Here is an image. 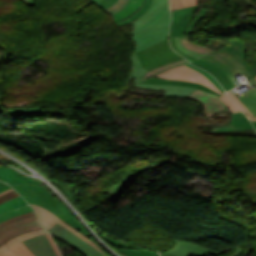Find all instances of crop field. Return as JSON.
<instances>
[{"mask_svg":"<svg viewBox=\"0 0 256 256\" xmlns=\"http://www.w3.org/2000/svg\"><path fill=\"white\" fill-rule=\"evenodd\" d=\"M246 49V43L234 37L230 43L222 47L221 50L201 59L223 71L233 83L234 87H236L240 84L237 82L234 74L244 72L249 79L256 76L255 71L253 72L245 60Z\"/></svg>","mask_w":256,"mask_h":256,"instance_id":"1","label":"crop field"},{"mask_svg":"<svg viewBox=\"0 0 256 256\" xmlns=\"http://www.w3.org/2000/svg\"><path fill=\"white\" fill-rule=\"evenodd\" d=\"M34 210L29 206L0 215V246L9 239L41 229Z\"/></svg>","mask_w":256,"mask_h":256,"instance_id":"2","label":"crop field"},{"mask_svg":"<svg viewBox=\"0 0 256 256\" xmlns=\"http://www.w3.org/2000/svg\"><path fill=\"white\" fill-rule=\"evenodd\" d=\"M26 201L40 205L55 213L61 220L72 215L70 211L58 200L50 197L45 187L37 185H12Z\"/></svg>","mask_w":256,"mask_h":256,"instance_id":"3","label":"crop field"},{"mask_svg":"<svg viewBox=\"0 0 256 256\" xmlns=\"http://www.w3.org/2000/svg\"><path fill=\"white\" fill-rule=\"evenodd\" d=\"M137 55L141 60L142 68H146L147 71L173 61L184 59L172 50L168 39L138 52Z\"/></svg>","mask_w":256,"mask_h":256,"instance_id":"4","label":"crop field"},{"mask_svg":"<svg viewBox=\"0 0 256 256\" xmlns=\"http://www.w3.org/2000/svg\"><path fill=\"white\" fill-rule=\"evenodd\" d=\"M170 25V13L146 29L134 35L137 43L136 52L155 44L168 37Z\"/></svg>","mask_w":256,"mask_h":256,"instance_id":"5","label":"crop field"},{"mask_svg":"<svg viewBox=\"0 0 256 256\" xmlns=\"http://www.w3.org/2000/svg\"><path fill=\"white\" fill-rule=\"evenodd\" d=\"M53 236L57 237L58 239L62 240L63 242L67 243L77 251H79L84 256H103L93 247L82 241L80 238L66 230L65 228L61 227L60 225H55L51 229L47 230Z\"/></svg>","mask_w":256,"mask_h":256,"instance_id":"6","label":"crop field"},{"mask_svg":"<svg viewBox=\"0 0 256 256\" xmlns=\"http://www.w3.org/2000/svg\"><path fill=\"white\" fill-rule=\"evenodd\" d=\"M157 76L167 77V79H178L185 80L189 82H196L205 85L206 87L214 90L219 94H223L213 83H211L205 76L202 74L186 67L185 65L173 68L164 73H161Z\"/></svg>","mask_w":256,"mask_h":256,"instance_id":"7","label":"crop field"},{"mask_svg":"<svg viewBox=\"0 0 256 256\" xmlns=\"http://www.w3.org/2000/svg\"><path fill=\"white\" fill-rule=\"evenodd\" d=\"M33 209L36 211L39 221L41 223V225L47 230L49 228H51L52 226H54L55 224H60L63 227H65L66 229H68L69 231H71L72 233H74L75 235H77L78 237H80L81 239H83L85 242H87L88 244H90L91 246H93L95 249H97L99 252H101L103 255L108 256L105 252H103L94 242H92L89 238L83 236L81 233H79L78 231H76L75 229H73L72 227H70L69 225H67L65 222L61 221L56 215L50 213L49 211H47L46 209L39 207L37 205H34L32 203H29Z\"/></svg>","mask_w":256,"mask_h":256,"instance_id":"8","label":"crop field"},{"mask_svg":"<svg viewBox=\"0 0 256 256\" xmlns=\"http://www.w3.org/2000/svg\"><path fill=\"white\" fill-rule=\"evenodd\" d=\"M169 12L168 0H153L149 10L135 21V31L131 35L141 31Z\"/></svg>","mask_w":256,"mask_h":256,"instance_id":"9","label":"crop field"},{"mask_svg":"<svg viewBox=\"0 0 256 256\" xmlns=\"http://www.w3.org/2000/svg\"><path fill=\"white\" fill-rule=\"evenodd\" d=\"M35 256H60L52 237L49 234L36 236L23 241Z\"/></svg>","mask_w":256,"mask_h":256,"instance_id":"10","label":"crop field"},{"mask_svg":"<svg viewBox=\"0 0 256 256\" xmlns=\"http://www.w3.org/2000/svg\"><path fill=\"white\" fill-rule=\"evenodd\" d=\"M187 98L201 102L205 108L207 118L213 116L216 112L227 110L218 96L206 91L197 89Z\"/></svg>","mask_w":256,"mask_h":256,"instance_id":"11","label":"crop field"},{"mask_svg":"<svg viewBox=\"0 0 256 256\" xmlns=\"http://www.w3.org/2000/svg\"><path fill=\"white\" fill-rule=\"evenodd\" d=\"M177 246L174 250L167 252L166 254L172 256H205L216 251L203 248L199 245L177 241Z\"/></svg>","mask_w":256,"mask_h":256,"instance_id":"12","label":"crop field"},{"mask_svg":"<svg viewBox=\"0 0 256 256\" xmlns=\"http://www.w3.org/2000/svg\"><path fill=\"white\" fill-rule=\"evenodd\" d=\"M197 6H191L187 8L177 9L172 12V23L170 36H178L187 20L195 12Z\"/></svg>","mask_w":256,"mask_h":256,"instance_id":"13","label":"crop field"},{"mask_svg":"<svg viewBox=\"0 0 256 256\" xmlns=\"http://www.w3.org/2000/svg\"><path fill=\"white\" fill-rule=\"evenodd\" d=\"M0 180L5 181L9 183L10 185L12 184H38L42 185L40 182L30 179L28 177H23L20 175L18 172L15 170L4 167L0 165ZM43 186V185H42Z\"/></svg>","mask_w":256,"mask_h":256,"instance_id":"14","label":"crop field"},{"mask_svg":"<svg viewBox=\"0 0 256 256\" xmlns=\"http://www.w3.org/2000/svg\"><path fill=\"white\" fill-rule=\"evenodd\" d=\"M149 167L145 166L141 169H138L134 172H130L122 181L116 185H112L110 197L108 200L117 202L120 196L125 192V190L137 179L139 171L148 169Z\"/></svg>","mask_w":256,"mask_h":256,"instance_id":"15","label":"crop field"},{"mask_svg":"<svg viewBox=\"0 0 256 256\" xmlns=\"http://www.w3.org/2000/svg\"><path fill=\"white\" fill-rule=\"evenodd\" d=\"M253 128L249 120L244 116L242 112L233 114L232 121L228 125L215 127L213 131H227V130H242Z\"/></svg>","mask_w":256,"mask_h":256,"instance_id":"16","label":"crop field"},{"mask_svg":"<svg viewBox=\"0 0 256 256\" xmlns=\"http://www.w3.org/2000/svg\"><path fill=\"white\" fill-rule=\"evenodd\" d=\"M192 64L211 72L212 75L219 81V83L225 89V91H229L230 89L234 88L232 83L225 76V74L222 73L220 70H218L216 67H214L202 60H196V61L192 62Z\"/></svg>","mask_w":256,"mask_h":256,"instance_id":"17","label":"crop field"},{"mask_svg":"<svg viewBox=\"0 0 256 256\" xmlns=\"http://www.w3.org/2000/svg\"><path fill=\"white\" fill-rule=\"evenodd\" d=\"M138 87H144L149 89H166L165 95L168 96H178V97H187L190 95L194 90V88L190 87H181V86H157V85H147L141 84Z\"/></svg>","mask_w":256,"mask_h":256,"instance_id":"18","label":"crop field"},{"mask_svg":"<svg viewBox=\"0 0 256 256\" xmlns=\"http://www.w3.org/2000/svg\"><path fill=\"white\" fill-rule=\"evenodd\" d=\"M143 1L144 0H129L125 8L121 9L118 13L113 15L114 22L116 23L117 21H120L135 13L143 4Z\"/></svg>","mask_w":256,"mask_h":256,"instance_id":"19","label":"crop field"},{"mask_svg":"<svg viewBox=\"0 0 256 256\" xmlns=\"http://www.w3.org/2000/svg\"><path fill=\"white\" fill-rule=\"evenodd\" d=\"M144 83L147 84H158V85H181V86H190V87H194V88H199V89H203L212 93V90L200 85V84H195V83H189V82H185V81H178V80H162V79H154V78H149L147 81H145ZM217 94V93H215ZM219 95V94H217ZM221 96V95H219Z\"/></svg>","mask_w":256,"mask_h":256,"instance_id":"20","label":"crop field"},{"mask_svg":"<svg viewBox=\"0 0 256 256\" xmlns=\"http://www.w3.org/2000/svg\"><path fill=\"white\" fill-rule=\"evenodd\" d=\"M256 85V80L251 79ZM239 100L243 103V105L249 110V112L256 117V88L248 91L242 98Z\"/></svg>","mask_w":256,"mask_h":256,"instance_id":"21","label":"crop field"},{"mask_svg":"<svg viewBox=\"0 0 256 256\" xmlns=\"http://www.w3.org/2000/svg\"><path fill=\"white\" fill-rule=\"evenodd\" d=\"M46 233H48V232L45 231L44 229H41V230L29 232L27 234L13 238V239L9 240L6 244H4L0 247V252L4 253L6 250H8L10 247H12L13 245H15L16 243H18L20 241L34 237L36 235H41V234H46Z\"/></svg>","mask_w":256,"mask_h":256,"instance_id":"22","label":"crop field"},{"mask_svg":"<svg viewBox=\"0 0 256 256\" xmlns=\"http://www.w3.org/2000/svg\"><path fill=\"white\" fill-rule=\"evenodd\" d=\"M131 62H132V66H133V74L131 76V78L135 79V84L138 85L140 83H142V77L145 75V73L147 72L146 69H141L140 66V61L137 58L136 54H132L131 56H129Z\"/></svg>","mask_w":256,"mask_h":256,"instance_id":"23","label":"crop field"},{"mask_svg":"<svg viewBox=\"0 0 256 256\" xmlns=\"http://www.w3.org/2000/svg\"><path fill=\"white\" fill-rule=\"evenodd\" d=\"M0 256H34L32 252L21 242L9 249L5 254L0 253Z\"/></svg>","mask_w":256,"mask_h":256,"instance_id":"24","label":"crop field"},{"mask_svg":"<svg viewBox=\"0 0 256 256\" xmlns=\"http://www.w3.org/2000/svg\"><path fill=\"white\" fill-rule=\"evenodd\" d=\"M28 204L27 202H25L21 196L14 198L12 200H9L3 204L0 205V214L12 209V208H17L23 205Z\"/></svg>","mask_w":256,"mask_h":256,"instance_id":"25","label":"crop field"},{"mask_svg":"<svg viewBox=\"0 0 256 256\" xmlns=\"http://www.w3.org/2000/svg\"><path fill=\"white\" fill-rule=\"evenodd\" d=\"M181 42L183 43L184 47L188 48V49H191V50H194V51H197V52H200V53H203L205 55H208L212 52H214V50H210V49H207L205 47H202V46H199L197 44H194L192 42H190L188 39H187V36L183 37V38H180Z\"/></svg>","mask_w":256,"mask_h":256,"instance_id":"26","label":"crop field"},{"mask_svg":"<svg viewBox=\"0 0 256 256\" xmlns=\"http://www.w3.org/2000/svg\"><path fill=\"white\" fill-rule=\"evenodd\" d=\"M151 2H152V0H145L143 6L135 14H133L132 16L128 17L127 19H125L123 21L116 23L117 26L131 22V21L139 18L140 16H142L147 11V9L150 7Z\"/></svg>","mask_w":256,"mask_h":256,"instance_id":"27","label":"crop field"},{"mask_svg":"<svg viewBox=\"0 0 256 256\" xmlns=\"http://www.w3.org/2000/svg\"><path fill=\"white\" fill-rule=\"evenodd\" d=\"M184 63H187L186 59L180 60V61H177V62H173V63L167 64V65L161 66L159 68H156L154 70H151V71L146 73V75L143 78V81L146 80L147 78H149L152 75H156V74L161 73L163 71H166V70H168V69H170V68H172L176 65H180V64H184Z\"/></svg>","mask_w":256,"mask_h":256,"instance_id":"28","label":"crop field"},{"mask_svg":"<svg viewBox=\"0 0 256 256\" xmlns=\"http://www.w3.org/2000/svg\"><path fill=\"white\" fill-rule=\"evenodd\" d=\"M123 253L127 256H158L155 251H146V250H133V249H121Z\"/></svg>","mask_w":256,"mask_h":256,"instance_id":"29","label":"crop field"},{"mask_svg":"<svg viewBox=\"0 0 256 256\" xmlns=\"http://www.w3.org/2000/svg\"><path fill=\"white\" fill-rule=\"evenodd\" d=\"M63 221L68 223L70 226H72L76 230L80 231L83 235H85V236L89 237L91 240H93V238L87 233V231L81 226V224L75 219V217L73 215L68 217V218H66Z\"/></svg>","mask_w":256,"mask_h":256,"instance_id":"30","label":"crop field"},{"mask_svg":"<svg viewBox=\"0 0 256 256\" xmlns=\"http://www.w3.org/2000/svg\"><path fill=\"white\" fill-rule=\"evenodd\" d=\"M209 9H205V8H202L198 13L197 15L193 18V20L190 22L184 36L186 34H189L192 32V30L194 29L195 25L197 24V22L207 13Z\"/></svg>","mask_w":256,"mask_h":256,"instance_id":"31","label":"crop field"},{"mask_svg":"<svg viewBox=\"0 0 256 256\" xmlns=\"http://www.w3.org/2000/svg\"><path fill=\"white\" fill-rule=\"evenodd\" d=\"M54 184L57 185L67 195V197L71 200L72 204L75 207V191L69 186L58 183Z\"/></svg>","mask_w":256,"mask_h":256,"instance_id":"32","label":"crop field"},{"mask_svg":"<svg viewBox=\"0 0 256 256\" xmlns=\"http://www.w3.org/2000/svg\"><path fill=\"white\" fill-rule=\"evenodd\" d=\"M174 41H175V44L176 46L178 47V49L182 50L184 53L194 57V58H200L204 55L200 54V53H197V52H194V51H190V50H187L183 47V45L181 44L179 38H174Z\"/></svg>","mask_w":256,"mask_h":256,"instance_id":"33","label":"crop field"},{"mask_svg":"<svg viewBox=\"0 0 256 256\" xmlns=\"http://www.w3.org/2000/svg\"><path fill=\"white\" fill-rule=\"evenodd\" d=\"M17 196H19V194H17L13 190V188H11V189H9V190H7L5 192H2V193H0V204L5 202V201H7V200H9V199L17 197Z\"/></svg>","mask_w":256,"mask_h":256,"instance_id":"34","label":"crop field"},{"mask_svg":"<svg viewBox=\"0 0 256 256\" xmlns=\"http://www.w3.org/2000/svg\"><path fill=\"white\" fill-rule=\"evenodd\" d=\"M128 0H118V2L111 8L105 10L108 13L114 14L118 12L121 8H123L127 4Z\"/></svg>","mask_w":256,"mask_h":256,"instance_id":"35","label":"crop field"},{"mask_svg":"<svg viewBox=\"0 0 256 256\" xmlns=\"http://www.w3.org/2000/svg\"><path fill=\"white\" fill-rule=\"evenodd\" d=\"M232 112L240 111L239 108L226 96V94L219 97Z\"/></svg>","mask_w":256,"mask_h":256,"instance_id":"36","label":"crop field"},{"mask_svg":"<svg viewBox=\"0 0 256 256\" xmlns=\"http://www.w3.org/2000/svg\"><path fill=\"white\" fill-rule=\"evenodd\" d=\"M100 237H102L104 240H106L108 243H110V244H111L112 246H114V247L140 249V248H138V247L129 246V245H125V244H123V243L115 242V241H113V240H111V239H109V238L103 236L102 234H101Z\"/></svg>","mask_w":256,"mask_h":256,"instance_id":"37","label":"crop field"},{"mask_svg":"<svg viewBox=\"0 0 256 256\" xmlns=\"http://www.w3.org/2000/svg\"><path fill=\"white\" fill-rule=\"evenodd\" d=\"M187 66H189V67H191V68L201 72L203 75H205L211 82H213L224 93L223 89L220 87L218 82L210 74H208L205 71H203L202 69L194 67V66H192L190 64H187Z\"/></svg>","mask_w":256,"mask_h":256,"instance_id":"38","label":"crop field"},{"mask_svg":"<svg viewBox=\"0 0 256 256\" xmlns=\"http://www.w3.org/2000/svg\"><path fill=\"white\" fill-rule=\"evenodd\" d=\"M227 94L244 111V113L248 116V118H252L253 115L251 116L248 110L241 104V102L235 97V95L231 91L227 92Z\"/></svg>","mask_w":256,"mask_h":256,"instance_id":"39","label":"crop field"},{"mask_svg":"<svg viewBox=\"0 0 256 256\" xmlns=\"http://www.w3.org/2000/svg\"><path fill=\"white\" fill-rule=\"evenodd\" d=\"M117 0H103L97 6L106 9L116 3Z\"/></svg>","mask_w":256,"mask_h":256,"instance_id":"40","label":"crop field"},{"mask_svg":"<svg viewBox=\"0 0 256 256\" xmlns=\"http://www.w3.org/2000/svg\"><path fill=\"white\" fill-rule=\"evenodd\" d=\"M170 2H171V9L184 7L181 0H170Z\"/></svg>","mask_w":256,"mask_h":256,"instance_id":"41","label":"crop field"},{"mask_svg":"<svg viewBox=\"0 0 256 256\" xmlns=\"http://www.w3.org/2000/svg\"><path fill=\"white\" fill-rule=\"evenodd\" d=\"M170 42H171L172 48L175 49L178 53L182 54L185 58H190V59H192V60H195V59H193V58H191V57L185 55L183 52L179 51V50L176 48V46L174 45L173 38H170Z\"/></svg>","mask_w":256,"mask_h":256,"instance_id":"42","label":"crop field"},{"mask_svg":"<svg viewBox=\"0 0 256 256\" xmlns=\"http://www.w3.org/2000/svg\"><path fill=\"white\" fill-rule=\"evenodd\" d=\"M182 1L185 7L198 4V0H182Z\"/></svg>","mask_w":256,"mask_h":256,"instance_id":"43","label":"crop field"},{"mask_svg":"<svg viewBox=\"0 0 256 256\" xmlns=\"http://www.w3.org/2000/svg\"><path fill=\"white\" fill-rule=\"evenodd\" d=\"M11 188L9 185L3 183V182H0V192L4 191V190H7Z\"/></svg>","mask_w":256,"mask_h":256,"instance_id":"44","label":"crop field"},{"mask_svg":"<svg viewBox=\"0 0 256 256\" xmlns=\"http://www.w3.org/2000/svg\"><path fill=\"white\" fill-rule=\"evenodd\" d=\"M195 16V14L192 15V17L189 19V21L186 23L185 27L183 28V30L181 31V33L179 34V37L183 35L188 23L192 20V18Z\"/></svg>","mask_w":256,"mask_h":256,"instance_id":"45","label":"crop field"},{"mask_svg":"<svg viewBox=\"0 0 256 256\" xmlns=\"http://www.w3.org/2000/svg\"><path fill=\"white\" fill-rule=\"evenodd\" d=\"M21 1H23L25 4H28V5H31V6L35 5L34 0H21Z\"/></svg>","mask_w":256,"mask_h":256,"instance_id":"46","label":"crop field"},{"mask_svg":"<svg viewBox=\"0 0 256 256\" xmlns=\"http://www.w3.org/2000/svg\"><path fill=\"white\" fill-rule=\"evenodd\" d=\"M251 122L253 123L254 127L256 128V118L251 119Z\"/></svg>","mask_w":256,"mask_h":256,"instance_id":"47","label":"crop field"},{"mask_svg":"<svg viewBox=\"0 0 256 256\" xmlns=\"http://www.w3.org/2000/svg\"><path fill=\"white\" fill-rule=\"evenodd\" d=\"M91 2H93L95 5H97L101 0H90Z\"/></svg>","mask_w":256,"mask_h":256,"instance_id":"48","label":"crop field"},{"mask_svg":"<svg viewBox=\"0 0 256 256\" xmlns=\"http://www.w3.org/2000/svg\"><path fill=\"white\" fill-rule=\"evenodd\" d=\"M161 256H169V255H166V254L161 253Z\"/></svg>","mask_w":256,"mask_h":256,"instance_id":"49","label":"crop field"},{"mask_svg":"<svg viewBox=\"0 0 256 256\" xmlns=\"http://www.w3.org/2000/svg\"><path fill=\"white\" fill-rule=\"evenodd\" d=\"M256 79V77H254Z\"/></svg>","mask_w":256,"mask_h":256,"instance_id":"50","label":"crop field"}]
</instances>
